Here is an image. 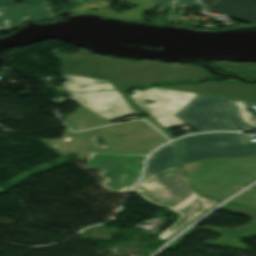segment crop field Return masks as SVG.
I'll use <instances>...</instances> for the list:
<instances>
[{
  "mask_svg": "<svg viewBox=\"0 0 256 256\" xmlns=\"http://www.w3.org/2000/svg\"><path fill=\"white\" fill-rule=\"evenodd\" d=\"M51 52L53 57L60 59V72L104 80L148 85L154 81L195 79L209 75L199 67L108 58L91 55L82 49L80 54H63L57 49H52Z\"/></svg>",
  "mask_w": 256,
  "mask_h": 256,
  "instance_id": "8a807250",
  "label": "crop field"
},
{
  "mask_svg": "<svg viewBox=\"0 0 256 256\" xmlns=\"http://www.w3.org/2000/svg\"><path fill=\"white\" fill-rule=\"evenodd\" d=\"M94 135L102 136L104 144L97 146L94 143ZM66 137L70 139L63 140ZM166 141L168 140L144 121L115 124L77 133L66 130L60 140H43L57 153H79L80 159L88 156L92 146H95L92 152L148 154ZM53 144L57 147H53ZM102 147H107V150Z\"/></svg>",
  "mask_w": 256,
  "mask_h": 256,
  "instance_id": "ac0d7876",
  "label": "crop field"
},
{
  "mask_svg": "<svg viewBox=\"0 0 256 256\" xmlns=\"http://www.w3.org/2000/svg\"><path fill=\"white\" fill-rule=\"evenodd\" d=\"M133 190L148 201L180 214L171 227L159 234V239L168 238L217 202L194 193L180 166L144 175Z\"/></svg>",
  "mask_w": 256,
  "mask_h": 256,
  "instance_id": "34b2d1b8",
  "label": "crop field"
},
{
  "mask_svg": "<svg viewBox=\"0 0 256 256\" xmlns=\"http://www.w3.org/2000/svg\"><path fill=\"white\" fill-rule=\"evenodd\" d=\"M183 167L197 192L217 199L256 178V166L251 157L206 159Z\"/></svg>",
  "mask_w": 256,
  "mask_h": 256,
  "instance_id": "412701ff",
  "label": "crop field"
},
{
  "mask_svg": "<svg viewBox=\"0 0 256 256\" xmlns=\"http://www.w3.org/2000/svg\"><path fill=\"white\" fill-rule=\"evenodd\" d=\"M198 131L250 129L236 111L232 99L198 94L175 114Z\"/></svg>",
  "mask_w": 256,
  "mask_h": 256,
  "instance_id": "f4fd0767",
  "label": "crop field"
},
{
  "mask_svg": "<svg viewBox=\"0 0 256 256\" xmlns=\"http://www.w3.org/2000/svg\"><path fill=\"white\" fill-rule=\"evenodd\" d=\"M182 162L212 157L256 156V142L244 143L240 133H205L178 140Z\"/></svg>",
  "mask_w": 256,
  "mask_h": 256,
  "instance_id": "dd49c442",
  "label": "crop field"
},
{
  "mask_svg": "<svg viewBox=\"0 0 256 256\" xmlns=\"http://www.w3.org/2000/svg\"><path fill=\"white\" fill-rule=\"evenodd\" d=\"M146 155L90 153L84 167H97L100 176L106 178L100 183L113 192H125L140 176Z\"/></svg>",
  "mask_w": 256,
  "mask_h": 256,
  "instance_id": "e52e79f7",
  "label": "crop field"
},
{
  "mask_svg": "<svg viewBox=\"0 0 256 256\" xmlns=\"http://www.w3.org/2000/svg\"><path fill=\"white\" fill-rule=\"evenodd\" d=\"M196 95L188 92L152 88L143 91L134 90L130 97L154 118H158L174 115ZM146 98L157 100V102L148 105L143 101Z\"/></svg>",
  "mask_w": 256,
  "mask_h": 256,
  "instance_id": "d8731c3e",
  "label": "crop field"
},
{
  "mask_svg": "<svg viewBox=\"0 0 256 256\" xmlns=\"http://www.w3.org/2000/svg\"><path fill=\"white\" fill-rule=\"evenodd\" d=\"M68 94L70 100L110 120L133 114L115 91L76 92Z\"/></svg>",
  "mask_w": 256,
  "mask_h": 256,
  "instance_id": "5a996713",
  "label": "crop field"
},
{
  "mask_svg": "<svg viewBox=\"0 0 256 256\" xmlns=\"http://www.w3.org/2000/svg\"><path fill=\"white\" fill-rule=\"evenodd\" d=\"M163 88L256 102V86H248L233 80L207 82L201 85L181 84Z\"/></svg>",
  "mask_w": 256,
  "mask_h": 256,
  "instance_id": "3316defc",
  "label": "crop field"
},
{
  "mask_svg": "<svg viewBox=\"0 0 256 256\" xmlns=\"http://www.w3.org/2000/svg\"><path fill=\"white\" fill-rule=\"evenodd\" d=\"M24 2L25 4L44 3L42 0H24ZM15 5L23 4H14L11 0H0V7ZM51 17L53 14L47 5L0 9V29L20 25L26 18L42 20Z\"/></svg>",
  "mask_w": 256,
  "mask_h": 256,
  "instance_id": "28ad6ade",
  "label": "crop field"
},
{
  "mask_svg": "<svg viewBox=\"0 0 256 256\" xmlns=\"http://www.w3.org/2000/svg\"><path fill=\"white\" fill-rule=\"evenodd\" d=\"M208 9L219 11L232 18L256 23V0H201Z\"/></svg>",
  "mask_w": 256,
  "mask_h": 256,
  "instance_id": "d1516ede",
  "label": "crop field"
},
{
  "mask_svg": "<svg viewBox=\"0 0 256 256\" xmlns=\"http://www.w3.org/2000/svg\"><path fill=\"white\" fill-rule=\"evenodd\" d=\"M110 1L111 0L81 4L82 7H80V8H72V13L95 12L97 14L104 15V16H113L116 18H122V19H126V20L136 21L139 19L143 10L152 8L155 4L153 2L142 1V0H133V1L132 0H121L124 2L136 4L138 6L133 10H129L124 13L117 14V13H114V12L108 10V5H109ZM104 7H107V9L105 10ZM90 8L98 9V11H89Z\"/></svg>",
  "mask_w": 256,
  "mask_h": 256,
  "instance_id": "22f410ed",
  "label": "crop field"
},
{
  "mask_svg": "<svg viewBox=\"0 0 256 256\" xmlns=\"http://www.w3.org/2000/svg\"><path fill=\"white\" fill-rule=\"evenodd\" d=\"M178 165L180 163L174 141L161 147L149 157L146 172L150 173Z\"/></svg>",
  "mask_w": 256,
  "mask_h": 256,
  "instance_id": "cbeb9de0",
  "label": "crop field"
},
{
  "mask_svg": "<svg viewBox=\"0 0 256 256\" xmlns=\"http://www.w3.org/2000/svg\"><path fill=\"white\" fill-rule=\"evenodd\" d=\"M72 130L110 124V120L80 106L63 120Z\"/></svg>",
  "mask_w": 256,
  "mask_h": 256,
  "instance_id": "5142ce71",
  "label": "crop field"
},
{
  "mask_svg": "<svg viewBox=\"0 0 256 256\" xmlns=\"http://www.w3.org/2000/svg\"><path fill=\"white\" fill-rule=\"evenodd\" d=\"M65 79L63 85L68 91L113 90L107 81L62 74Z\"/></svg>",
  "mask_w": 256,
  "mask_h": 256,
  "instance_id": "d9b57169",
  "label": "crop field"
},
{
  "mask_svg": "<svg viewBox=\"0 0 256 256\" xmlns=\"http://www.w3.org/2000/svg\"><path fill=\"white\" fill-rule=\"evenodd\" d=\"M223 210L233 211L244 214L252 218L251 222L247 225L232 228L237 236L240 238L256 234V210L244 206L229 204Z\"/></svg>",
  "mask_w": 256,
  "mask_h": 256,
  "instance_id": "733c2abd",
  "label": "crop field"
},
{
  "mask_svg": "<svg viewBox=\"0 0 256 256\" xmlns=\"http://www.w3.org/2000/svg\"><path fill=\"white\" fill-rule=\"evenodd\" d=\"M213 65L225 72L238 73L256 78V64H239L234 62H213Z\"/></svg>",
  "mask_w": 256,
  "mask_h": 256,
  "instance_id": "4a817a6b",
  "label": "crop field"
},
{
  "mask_svg": "<svg viewBox=\"0 0 256 256\" xmlns=\"http://www.w3.org/2000/svg\"><path fill=\"white\" fill-rule=\"evenodd\" d=\"M233 101H234L236 107L238 108L237 110H238L243 122L252 126L254 129H256V117L251 116L252 114L247 109L245 101L235 100V99H233Z\"/></svg>",
  "mask_w": 256,
  "mask_h": 256,
  "instance_id": "bc2a9ffb",
  "label": "crop field"
},
{
  "mask_svg": "<svg viewBox=\"0 0 256 256\" xmlns=\"http://www.w3.org/2000/svg\"><path fill=\"white\" fill-rule=\"evenodd\" d=\"M232 202L256 208V186Z\"/></svg>",
  "mask_w": 256,
  "mask_h": 256,
  "instance_id": "214f88e0",
  "label": "crop field"
},
{
  "mask_svg": "<svg viewBox=\"0 0 256 256\" xmlns=\"http://www.w3.org/2000/svg\"><path fill=\"white\" fill-rule=\"evenodd\" d=\"M111 82L115 86V88L118 90V92L122 95V97L126 100V102L129 104V106L136 113L143 112L138 106H136L133 102H131V99L127 97L126 94L122 91L127 86H137V85H131V84H125V83H119V82H113V81Z\"/></svg>",
  "mask_w": 256,
  "mask_h": 256,
  "instance_id": "92a150f3",
  "label": "crop field"
},
{
  "mask_svg": "<svg viewBox=\"0 0 256 256\" xmlns=\"http://www.w3.org/2000/svg\"><path fill=\"white\" fill-rule=\"evenodd\" d=\"M76 2L79 1H93V0H75ZM163 4L167 5H195L199 4L198 0H154Z\"/></svg>",
  "mask_w": 256,
  "mask_h": 256,
  "instance_id": "dafd665d",
  "label": "crop field"
},
{
  "mask_svg": "<svg viewBox=\"0 0 256 256\" xmlns=\"http://www.w3.org/2000/svg\"><path fill=\"white\" fill-rule=\"evenodd\" d=\"M176 9L177 8L173 7L172 10L169 12V14H168V16L166 18L167 21H170V20H182L183 19L184 16L173 14Z\"/></svg>",
  "mask_w": 256,
  "mask_h": 256,
  "instance_id": "00972430",
  "label": "crop field"
},
{
  "mask_svg": "<svg viewBox=\"0 0 256 256\" xmlns=\"http://www.w3.org/2000/svg\"><path fill=\"white\" fill-rule=\"evenodd\" d=\"M195 231V229L189 231L187 234H185L184 236H182L178 241H176L171 247L174 248L175 246H177L179 243H181L187 236H189L191 233H193Z\"/></svg>",
  "mask_w": 256,
  "mask_h": 256,
  "instance_id": "a9b5d70f",
  "label": "crop field"
},
{
  "mask_svg": "<svg viewBox=\"0 0 256 256\" xmlns=\"http://www.w3.org/2000/svg\"><path fill=\"white\" fill-rule=\"evenodd\" d=\"M146 121H148L151 125H153L155 128H157L159 131H161L164 135H166L167 137H169L168 134H166L158 125H156L154 122H152L150 119H146Z\"/></svg>",
  "mask_w": 256,
  "mask_h": 256,
  "instance_id": "4177f3b9",
  "label": "crop field"
},
{
  "mask_svg": "<svg viewBox=\"0 0 256 256\" xmlns=\"http://www.w3.org/2000/svg\"><path fill=\"white\" fill-rule=\"evenodd\" d=\"M252 159H253V161L255 162V164H256V157H252Z\"/></svg>",
  "mask_w": 256,
  "mask_h": 256,
  "instance_id": "730fd06b",
  "label": "crop field"
}]
</instances>
